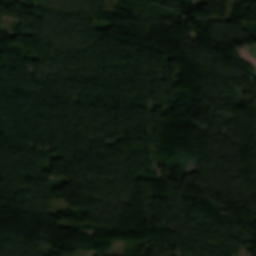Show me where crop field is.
Segmentation results:
<instances>
[{"label":"crop field","instance_id":"8a807250","mask_svg":"<svg viewBox=\"0 0 256 256\" xmlns=\"http://www.w3.org/2000/svg\"><path fill=\"white\" fill-rule=\"evenodd\" d=\"M241 58L256 67V54H253V51H247L246 48L237 49Z\"/></svg>","mask_w":256,"mask_h":256}]
</instances>
